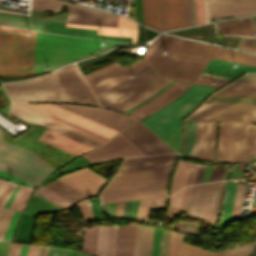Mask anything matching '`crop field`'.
<instances>
[{
	"label": "crop field",
	"instance_id": "24",
	"mask_svg": "<svg viewBox=\"0 0 256 256\" xmlns=\"http://www.w3.org/2000/svg\"><path fill=\"white\" fill-rule=\"evenodd\" d=\"M12 106L15 107V108H18V109H20V110H22V111H25V112H27V113H30V114H32V115H35V116H37V117H39V118H42V119H44V120H47V121L52 122V123H54V124H57V125H59V126H61V127H64V128L69 129V130H71V131H74V132H76V133H78V134H81V135H83V136H86V137H88V138H91V139H93V140H95V141H98V142H100V143H103V142H105V141L108 140V139H106V138H104V137H101V136L96 135V134H94V133H92V132H89V131H87V130H85V129H82V128H80V127H77V126H75V125H73V124H70V123H68V122H65V121H63V120H61V119H58V118H56V117H54V116H51V115H49V114H46V113H44V112H42V111H39V110H37V109H35V108H32V107H30V106H27V105H25V104H23V103H13Z\"/></svg>",
	"mask_w": 256,
	"mask_h": 256
},
{
	"label": "crop field",
	"instance_id": "65",
	"mask_svg": "<svg viewBox=\"0 0 256 256\" xmlns=\"http://www.w3.org/2000/svg\"><path fill=\"white\" fill-rule=\"evenodd\" d=\"M175 237H176V234L170 232L168 256H173V253H174V245H175Z\"/></svg>",
	"mask_w": 256,
	"mask_h": 256
},
{
	"label": "crop field",
	"instance_id": "58",
	"mask_svg": "<svg viewBox=\"0 0 256 256\" xmlns=\"http://www.w3.org/2000/svg\"><path fill=\"white\" fill-rule=\"evenodd\" d=\"M224 168L225 167L214 166L209 182L221 180Z\"/></svg>",
	"mask_w": 256,
	"mask_h": 256
},
{
	"label": "crop field",
	"instance_id": "11",
	"mask_svg": "<svg viewBox=\"0 0 256 256\" xmlns=\"http://www.w3.org/2000/svg\"><path fill=\"white\" fill-rule=\"evenodd\" d=\"M187 119L256 122V105L203 104Z\"/></svg>",
	"mask_w": 256,
	"mask_h": 256
},
{
	"label": "crop field",
	"instance_id": "62",
	"mask_svg": "<svg viewBox=\"0 0 256 256\" xmlns=\"http://www.w3.org/2000/svg\"><path fill=\"white\" fill-rule=\"evenodd\" d=\"M224 126H225V122H220V128H219V142H218L219 153H218V159H217V161H219V162H220V158H221V150H222Z\"/></svg>",
	"mask_w": 256,
	"mask_h": 256
},
{
	"label": "crop field",
	"instance_id": "47",
	"mask_svg": "<svg viewBox=\"0 0 256 256\" xmlns=\"http://www.w3.org/2000/svg\"><path fill=\"white\" fill-rule=\"evenodd\" d=\"M14 187L15 184L0 181V206L4 207Z\"/></svg>",
	"mask_w": 256,
	"mask_h": 256
},
{
	"label": "crop field",
	"instance_id": "14",
	"mask_svg": "<svg viewBox=\"0 0 256 256\" xmlns=\"http://www.w3.org/2000/svg\"><path fill=\"white\" fill-rule=\"evenodd\" d=\"M146 155L121 133L84 156L93 164L131 156Z\"/></svg>",
	"mask_w": 256,
	"mask_h": 256
},
{
	"label": "crop field",
	"instance_id": "20",
	"mask_svg": "<svg viewBox=\"0 0 256 256\" xmlns=\"http://www.w3.org/2000/svg\"><path fill=\"white\" fill-rule=\"evenodd\" d=\"M58 180L81 192L87 197L97 195L107 181L87 168L66 175Z\"/></svg>",
	"mask_w": 256,
	"mask_h": 256
},
{
	"label": "crop field",
	"instance_id": "26",
	"mask_svg": "<svg viewBox=\"0 0 256 256\" xmlns=\"http://www.w3.org/2000/svg\"><path fill=\"white\" fill-rule=\"evenodd\" d=\"M40 140L54 147L67 151L71 154H74L76 156H79L92 149L88 146H85L81 143H78L74 140H71L67 137H64L60 134H57L49 130L45 131V133L41 136Z\"/></svg>",
	"mask_w": 256,
	"mask_h": 256
},
{
	"label": "crop field",
	"instance_id": "59",
	"mask_svg": "<svg viewBox=\"0 0 256 256\" xmlns=\"http://www.w3.org/2000/svg\"><path fill=\"white\" fill-rule=\"evenodd\" d=\"M227 87H256V80H238Z\"/></svg>",
	"mask_w": 256,
	"mask_h": 256
},
{
	"label": "crop field",
	"instance_id": "60",
	"mask_svg": "<svg viewBox=\"0 0 256 256\" xmlns=\"http://www.w3.org/2000/svg\"><path fill=\"white\" fill-rule=\"evenodd\" d=\"M114 233H115V227H110L106 256H112L113 254Z\"/></svg>",
	"mask_w": 256,
	"mask_h": 256
},
{
	"label": "crop field",
	"instance_id": "16",
	"mask_svg": "<svg viewBox=\"0 0 256 256\" xmlns=\"http://www.w3.org/2000/svg\"><path fill=\"white\" fill-rule=\"evenodd\" d=\"M239 2V4H237ZM208 22L256 13V0H206Z\"/></svg>",
	"mask_w": 256,
	"mask_h": 256
},
{
	"label": "crop field",
	"instance_id": "64",
	"mask_svg": "<svg viewBox=\"0 0 256 256\" xmlns=\"http://www.w3.org/2000/svg\"><path fill=\"white\" fill-rule=\"evenodd\" d=\"M197 164L192 163L191 164V168H190V172H189V176H188V180H187V184H193L194 182V178H195V174H196V170H197Z\"/></svg>",
	"mask_w": 256,
	"mask_h": 256
},
{
	"label": "crop field",
	"instance_id": "31",
	"mask_svg": "<svg viewBox=\"0 0 256 256\" xmlns=\"http://www.w3.org/2000/svg\"><path fill=\"white\" fill-rule=\"evenodd\" d=\"M181 87H183V85L175 82L169 88H167L165 91H163L160 95H158L156 98L152 99L151 101L147 102L146 104H144L141 107L137 108L136 110L132 111L128 115L135 117V118L141 116L142 114L146 113L147 111H149V110L153 109L154 107L158 106L159 104L163 103L170 96H172L176 91H178Z\"/></svg>",
	"mask_w": 256,
	"mask_h": 256
},
{
	"label": "crop field",
	"instance_id": "35",
	"mask_svg": "<svg viewBox=\"0 0 256 256\" xmlns=\"http://www.w3.org/2000/svg\"><path fill=\"white\" fill-rule=\"evenodd\" d=\"M44 23L45 22L42 21L0 15V25L22 27L42 31ZM35 25H37V27H34Z\"/></svg>",
	"mask_w": 256,
	"mask_h": 256
},
{
	"label": "crop field",
	"instance_id": "7",
	"mask_svg": "<svg viewBox=\"0 0 256 256\" xmlns=\"http://www.w3.org/2000/svg\"><path fill=\"white\" fill-rule=\"evenodd\" d=\"M166 78L160 76L149 64L140 70L132 78L126 80L120 85L114 87L108 92L97 97L100 105L112 109L119 110L134 100L140 98L146 93L150 92L160 83H162ZM132 91L133 93L127 97L121 99L118 102H113L112 100L121 96L122 94Z\"/></svg>",
	"mask_w": 256,
	"mask_h": 256
},
{
	"label": "crop field",
	"instance_id": "36",
	"mask_svg": "<svg viewBox=\"0 0 256 256\" xmlns=\"http://www.w3.org/2000/svg\"><path fill=\"white\" fill-rule=\"evenodd\" d=\"M205 103L256 104V96L213 95Z\"/></svg>",
	"mask_w": 256,
	"mask_h": 256
},
{
	"label": "crop field",
	"instance_id": "30",
	"mask_svg": "<svg viewBox=\"0 0 256 256\" xmlns=\"http://www.w3.org/2000/svg\"><path fill=\"white\" fill-rule=\"evenodd\" d=\"M166 188L101 196V203L165 196Z\"/></svg>",
	"mask_w": 256,
	"mask_h": 256
},
{
	"label": "crop field",
	"instance_id": "25",
	"mask_svg": "<svg viewBox=\"0 0 256 256\" xmlns=\"http://www.w3.org/2000/svg\"><path fill=\"white\" fill-rule=\"evenodd\" d=\"M10 113H12V114H14L16 116H19V117H21V118H23L25 120H28V121H30V122H32L34 124L43 126V127L48 128L50 130H53V131H55L57 133H60V134H62L64 136H67V137H69L71 139H74V140H76L78 142H81V143H83L85 145H88V146H90L92 148H94V147H96V146H98L100 144V143L95 142V141H93L91 139H88L86 137L78 135V134H76L74 132H71V131L66 130L64 128H61L59 126H56V125H54L52 123H49V122L44 121L42 119H39V118H37L35 116H32V115L27 114L25 112H22V111H20L18 109H15L13 107L11 108Z\"/></svg>",
	"mask_w": 256,
	"mask_h": 256
},
{
	"label": "crop field",
	"instance_id": "46",
	"mask_svg": "<svg viewBox=\"0 0 256 256\" xmlns=\"http://www.w3.org/2000/svg\"><path fill=\"white\" fill-rule=\"evenodd\" d=\"M21 214L22 213L16 212V211L13 212L11 220L9 222V225L7 227V230L5 232V235L2 241H7V242L13 241L14 234H15L19 219L21 217Z\"/></svg>",
	"mask_w": 256,
	"mask_h": 256
},
{
	"label": "crop field",
	"instance_id": "63",
	"mask_svg": "<svg viewBox=\"0 0 256 256\" xmlns=\"http://www.w3.org/2000/svg\"><path fill=\"white\" fill-rule=\"evenodd\" d=\"M118 27H124V28H132V29H136V23L123 18L121 16H119V22H118Z\"/></svg>",
	"mask_w": 256,
	"mask_h": 256
},
{
	"label": "crop field",
	"instance_id": "17",
	"mask_svg": "<svg viewBox=\"0 0 256 256\" xmlns=\"http://www.w3.org/2000/svg\"><path fill=\"white\" fill-rule=\"evenodd\" d=\"M256 155V125L236 123L232 162H250Z\"/></svg>",
	"mask_w": 256,
	"mask_h": 256
},
{
	"label": "crop field",
	"instance_id": "3",
	"mask_svg": "<svg viewBox=\"0 0 256 256\" xmlns=\"http://www.w3.org/2000/svg\"><path fill=\"white\" fill-rule=\"evenodd\" d=\"M175 153L126 159L101 195L166 187Z\"/></svg>",
	"mask_w": 256,
	"mask_h": 256
},
{
	"label": "crop field",
	"instance_id": "39",
	"mask_svg": "<svg viewBox=\"0 0 256 256\" xmlns=\"http://www.w3.org/2000/svg\"><path fill=\"white\" fill-rule=\"evenodd\" d=\"M46 186L73 203L84 198V196H82L81 194L74 191L73 189H71L70 187L66 186L65 184H63L62 182H60L58 180H56Z\"/></svg>",
	"mask_w": 256,
	"mask_h": 256
},
{
	"label": "crop field",
	"instance_id": "49",
	"mask_svg": "<svg viewBox=\"0 0 256 256\" xmlns=\"http://www.w3.org/2000/svg\"><path fill=\"white\" fill-rule=\"evenodd\" d=\"M120 66L117 62L104 67L96 72H93L87 76H85L86 81L89 83L93 82L94 80L98 79L99 77L105 75L106 73L110 72L111 70L115 69L116 67Z\"/></svg>",
	"mask_w": 256,
	"mask_h": 256
},
{
	"label": "crop field",
	"instance_id": "69",
	"mask_svg": "<svg viewBox=\"0 0 256 256\" xmlns=\"http://www.w3.org/2000/svg\"><path fill=\"white\" fill-rule=\"evenodd\" d=\"M22 245L12 244L8 256H19Z\"/></svg>",
	"mask_w": 256,
	"mask_h": 256
},
{
	"label": "crop field",
	"instance_id": "23",
	"mask_svg": "<svg viewBox=\"0 0 256 256\" xmlns=\"http://www.w3.org/2000/svg\"><path fill=\"white\" fill-rule=\"evenodd\" d=\"M183 236L184 235L177 234L174 256H245L255 244L251 243L236 249L209 253L197 247L182 243L181 240Z\"/></svg>",
	"mask_w": 256,
	"mask_h": 256
},
{
	"label": "crop field",
	"instance_id": "54",
	"mask_svg": "<svg viewBox=\"0 0 256 256\" xmlns=\"http://www.w3.org/2000/svg\"><path fill=\"white\" fill-rule=\"evenodd\" d=\"M238 48L253 51L256 53V38L242 39Z\"/></svg>",
	"mask_w": 256,
	"mask_h": 256
},
{
	"label": "crop field",
	"instance_id": "5",
	"mask_svg": "<svg viewBox=\"0 0 256 256\" xmlns=\"http://www.w3.org/2000/svg\"><path fill=\"white\" fill-rule=\"evenodd\" d=\"M214 89L215 87L193 83L169 105L141 121L163 140L181 130L182 119Z\"/></svg>",
	"mask_w": 256,
	"mask_h": 256
},
{
	"label": "crop field",
	"instance_id": "15",
	"mask_svg": "<svg viewBox=\"0 0 256 256\" xmlns=\"http://www.w3.org/2000/svg\"><path fill=\"white\" fill-rule=\"evenodd\" d=\"M55 105L65 108L69 111H72L76 114L84 116L93 121H96L107 127L115 129L119 132L123 131L128 126L137 122V120L129 116H126L124 114H121L112 110L99 109V108H93V107H87V106H81V105H65V104H55Z\"/></svg>",
	"mask_w": 256,
	"mask_h": 256
},
{
	"label": "crop field",
	"instance_id": "61",
	"mask_svg": "<svg viewBox=\"0 0 256 256\" xmlns=\"http://www.w3.org/2000/svg\"><path fill=\"white\" fill-rule=\"evenodd\" d=\"M184 10H185L186 26L192 25L190 0H184Z\"/></svg>",
	"mask_w": 256,
	"mask_h": 256
},
{
	"label": "crop field",
	"instance_id": "34",
	"mask_svg": "<svg viewBox=\"0 0 256 256\" xmlns=\"http://www.w3.org/2000/svg\"><path fill=\"white\" fill-rule=\"evenodd\" d=\"M236 186L237 184H232V183H227L226 185L219 225L228 223L230 220Z\"/></svg>",
	"mask_w": 256,
	"mask_h": 256
},
{
	"label": "crop field",
	"instance_id": "37",
	"mask_svg": "<svg viewBox=\"0 0 256 256\" xmlns=\"http://www.w3.org/2000/svg\"><path fill=\"white\" fill-rule=\"evenodd\" d=\"M196 121H186L182 154L192 156L194 153Z\"/></svg>",
	"mask_w": 256,
	"mask_h": 256
},
{
	"label": "crop field",
	"instance_id": "70",
	"mask_svg": "<svg viewBox=\"0 0 256 256\" xmlns=\"http://www.w3.org/2000/svg\"><path fill=\"white\" fill-rule=\"evenodd\" d=\"M67 250H57L53 248H49V252L47 256H65Z\"/></svg>",
	"mask_w": 256,
	"mask_h": 256
},
{
	"label": "crop field",
	"instance_id": "41",
	"mask_svg": "<svg viewBox=\"0 0 256 256\" xmlns=\"http://www.w3.org/2000/svg\"><path fill=\"white\" fill-rule=\"evenodd\" d=\"M31 191H32L31 188H25V187L20 186L18 192L16 193L13 201L11 202V204L9 206V209L22 211L27 200H28V197H29Z\"/></svg>",
	"mask_w": 256,
	"mask_h": 256
},
{
	"label": "crop field",
	"instance_id": "40",
	"mask_svg": "<svg viewBox=\"0 0 256 256\" xmlns=\"http://www.w3.org/2000/svg\"><path fill=\"white\" fill-rule=\"evenodd\" d=\"M190 164L191 163L181 162V160L178 161L172 183L171 194L186 184Z\"/></svg>",
	"mask_w": 256,
	"mask_h": 256
},
{
	"label": "crop field",
	"instance_id": "56",
	"mask_svg": "<svg viewBox=\"0 0 256 256\" xmlns=\"http://www.w3.org/2000/svg\"><path fill=\"white\" fill-rule=\"evenodd\" d=\"M170 80L164 81L162 84H160L158 87H156L154 90H152L150 93L146 94L145 96L141 97L140 99L136 100L135 102L129 104L128 106L124 107L120 111L124 112L128 110L129 108L133 107L134 105L138 104L139 102L143 101L144 99L148 98L149 96L153 95L155 92H157L159 89H161L164 85H166Z\"/></svg>",
	"mask_w": 256,
	"mask_h": 256
},
{
	"label": "crop field",
	"instance_id": "66",
	"mask_svg": "<svg viewBox=\"0 0 256 256\" xmlns=\"http://www.w3.org/2000/svg\"><path fill=\"white\" fill-rule=\"evenodd\" d=\"M0 177L6 178V179H10V180H14L15 182L21 183V184H23V185H25V186H33L32 184H29V183H27V182H25V181H22V180H20V179H17V178H15V177H13V176H10V175H8V174H5V173H3V172H1V171H0Z\"/></svg>",
	"mask_w": 256,
	"mask_h": 256
},
{
	"label": "crop field",
	"instance_id": "45",
	"mask_svg": "<svg viewBox=\"0 0 256 256\" xmlns=\"http://www.w3.org/2000/svg\"><path fill=\"white\" fill-rule=\"evenodd\" d=\"M245 188H246V186H244V185L238 184V186H237V191H236V196H235V201H234V205H233V210H232V215H231L230 222L239 218Z\"/></svg>",
	"mask_w": 256,
	"mask_h": 256
},
{
	"label": "crop field",
	"instance_id": "57",
	"mask_svg": "<svg viewBox=\"0 0 256 256\" xmlns=\"http://www.w3.org/2000/svg\"><path fill=\"white\" fill-rule=\"evenodd\" d=\"M167 37V35L165 34H161L160 36H158L155 40L152 41V43L150 44V46L147 48V50L145 51L144 55L147 58L150 56V54L153 52V50L156 48V46L165 38Z\"/></svg>",
	"mask_w": 256,
	"mask_h": 256
},
{
	"label": "crop field",
	"instance_id": "76",
	"mask_svg": "<svg viewBox=\"0 0 256 256\" xmlns=\"http://www.w3.org/2000/svg\"><path fill=\"white\" fill-rule=\"evenodd\" d=\"M252 22H253L254 34H255V37H256V17L252 18Z\"/></svg>",
	"mask_w": 256,
	"mask_h": 256
},
{
	"label": "crop field",
	"instance_id": "12",
	"mask_svg": "<svg viewBox=\"0 0 256 256\" xmlns=\"http://www.w3.org/2000/svg\"><path fill=\"white\" fill-rule=\"evenodd\" d=\"M64 25L65 24L46 22L43 31L79 35V36H86V37H93V38H101V39H108V40H114V41H125V42H131V38H126V37H132V42H135L136 30H132V29L76 25V24L65 25L70 27L98 29V32H97V30L70 28V27H64ZM96 32L97 34H102V35H114V36H126V37L102 36V35H96Z\"/></svg>",
	"mask_w": 256,
	"mask_h": 256
},
{
	"label": "crop field",
	"instance_id": "73",
	"mask_svg": "<svg viewBox=\"0 0 256 256\" xmlns=\"http://www.w3.org/2000/svg\"><path fill=\"white\" fill-rule=\"evenodd\" d=\"M191 9H192V20H193V25H195V24H196V19H195L194 0H191Z\"/></svg>",
	"mask_w": 256,
	"mask_h": 256
},
{
	"label": "crop field",
	"instance_id": "67",
	"mask_svg": "<svg viewBox=\"0 0 256 256\" xmlns=\"http://www.w3.org/2000/svg\"><path fill=\"white\" fill-rule=\"evenodd\" d=\"M204 168H205L204 165L199 164L194 184L201 183L202 177H203Z\"/></svg>",
	"mask_w": 256,
	"mask_h": 256
},
{
	"label": "crop field",
	"instance_id": "2",
	"mask_svg": "<svg viewBox=\"0 0 256 256\" xmlns=\"http://www.w3.org/2000/svg\"><path fill=\"white\" fill-rule=\"evenodd\" d=\"M117 45L128 44L37 32L34 73L101 53Z\"/></svg>",
	"mask_w": 256,
	"mask_h": 256
},
{
	"label": "crop field",
	"instance_id": "71",
	"mask_svg": "<svg viewBox=\"0 0 256 256\" xmlns=\"http://www.w3.org/2000/svg\"><path fill=\"white\" fill-rule=\"evenodd\" d=\"M124 202L118 203L115 218H122Z\"/></svg>",
	"mask_w": 256,
	"mask_h": 256
},
{
	"label": "crop field",
	"instance_id": "10",
	"mask_svg": "<svg viewBox=\"0 0 256 256\" xmlns=\"http://www.w3.org/2000/svg\"><path fill=\"white\" fill-rule=\"evenodd\" d=\"M222 184L215 182L193 186L186 218L206 220V225L211 218L210 226H213Z\"/></svg>",
	"mask_w": 256,
	"mask_h": 256
},
{
	"label": "crop field",
	"instance_id": "72",
	"mask_svg": "<svg viewBox=\"0 0 256 256\" xmlns=\"http://www.w3.org/2000/svg\"><path fill=\"white\" fill-rule=\"evenodd\" d=\"M18 188H19V186L16 185L14 191L12 192V194H11L9 200L7 201V203H6V205H5L6 208H8V206H9L10 202L12 201V199H13L15 193L17 192Z\"/></svg>",
	"mask_w": 256,
	"mask_h": 256
},
{
	"label": "crop field",
	"instance_id": "33",
	"mask_svg": "<svg viewBox=\"0 0 256 256\" xmlns=\"http://www.w3.org/2000/svg\"><path fill=\"white\" fill-rule=\"evenodd\" d=\"M167 198L139 201L137 221L148 222L149 210L164 209Z\"/></svg>",
	"mask_w": 256,
	"mask_h": 256
},
{
	"label": "crop field",
	"instance_id": "75",
	"mask_svg": "<svg viewBox=\"0 0 256 256\" xmlns=\"http://www.w3.org/2000/svg\"><path fill=\"white\" fill-rule=\"evenodd\" d=\"M27 247L28 246H25V245L22 246V250H21L20 256H25L26 251H27Z\"/></svg>",
	"mask_w": 256,
	"mask_h": 256
},
{
	"label": "crop field",
	"instance_id": "13",
	"mask_svg": "<svg viewBox=\"0 0 256 256\" xmlns=\"http://www.w3.org/2000/svg\"><path fill=\"white\" fill-rule=\"evenodd\" d=\"M72 103L99 106L76 66L71 64L55 71Z\"/></svg>",
	"mask_w": 256,
	"mask_h": 256
},
{
	"label": "crop field",
	"instance_id": "29",
	"mask_svg": "<svg viewBox=\"0 0 256 256\" xmlns=\"http://www.w3.org/2000/svg\"><path fill=\"white\" fill-rule=\"evenodd\" d=\"M154 228L137 225L134 256H150Z\"/></svg>",
	"mask_w": 256,
	"mask_h": 256
},
{
	"label": "crop field",
	"instance_id": "42",
	"mask_svg": "<svg viewBox=\"0 0 256 256\" xmlns=\"http://www.w3.org/2000/svg\"><path fill=\"white\" fill-rule=\"evenodd\" d=\"M35 192H37L38 194L42 195L46 199L50 200L51 202H53L54 204H56L62 208L67 207L70 204H72L71 202H69L68 200L61 197L60 195H58L57 193L53 192L52 190H50L49 188H47L45 186L39 188Z\"/></svg>",
	"mask_w": 256,
	"mask_h": 256
},
{
	"label": "crop field",
	"instance_id": "50",
	"mask_svg": "<svg viewBox=\"0 0 256 256\" xmlns=\"http://www.w3.org/2000/svg\"><path fill=\"white\" fill-rule=\"evenodd\" d=\"M161 234H162V230L155 228L151 256H159Z\"/></svg>",
	"mask_w": 256,
	"mask_h": 256
},
{
	"label": "crop field",
	"instance_id": "28",
	"mask_svg": "<svg viewBox=\"0 0 256 256\" xmlns=\"http://www.w3.org/2000/svg\"><path fill=\"white\" fill-rule=\"evenodd\" d=\"M136 225L117 227L114 256H133Z\"/></svg>",
	"mask_w": 256,
	"mask_h": 256
},
{
	"label": "crop field",
	"instance_id": "43",
	"mask_svg": "<svg viewBox=\"0 0 256 256\" xmlns=\"http://www.w3.org/2000/svg\"><path fill=\"white\" fill-rule=\"evenodd\" d=\"M98 226L86 229L82 251L94 255Z\"/></svg>",
	"mask_w": 256,
	"mask_h": 256
},
{
	"label": "crop field",
	"instance_id": "4",
	"mask_svg": "<svg viewBox=\"0 0 256 256\" xmlns=\"http://www.w3.org/2000/svg\"><path fill=\"white\" fill-rule=\"evenodd\" d=\"M35 38L36 32L0 26V75L33 73Z\"/></svg>",
	"mask_w": 256,
	"mask_h": 256
},
{
	"label": "crop field",
	"instance_id": "1",
	"mask_svg": "<svg viewBox=\"0 0 256 256\" xmlns=\"http://www.w3.org/2000/svg\"><path fill=\"white\" fill-rule=\"evenodd\" d=\"M211 58L256 66V57L250 54L171 36L157 46L147 61L160 75L188 87L192 82L218 87L227 80L199 75Z\"/></svg>",
	"mask_w": 256,
	"mask_h": 256
},
{
	"label": "crop field",
	"instance_id": "38",
	"mask_svg": "<svg viewBox=\"0 0 256 256\" xmlns=\"http://www.w3.org/2000/svg\"><path fill=\"white\" fill-rule=\"evenodd\" d=\"M235 123L226 122L221 162H231Z\"/></svg>",
	"mask_w": 256,
	"mask_h": 256
},
{
	"label": "crop field",
	"instance_id": "8",
	"mask_svg": "<svg viewBox=\"0 0 256 256\" xmlns=\"http://www.w3.org/2000/svg\"><path fill=\"white\" fill-rule=\"evenodd\" d=\"M142 8L144 24L154 29L185 26L183 0H142Z\"/></svg>",
	"mask_w": 256,
	"mask_h": 256
},
{
	"label": "crop field",
	"instance_id": "55",
	"mask_svg": "<svg viewBox=\"0 0 256 256\" xmlns=\"http://www.w3.org/2000/svg\"><path fill=\"white\" fill-rule=\"evenodd\" d=\"M197 24L205 23L203 0H195Z\"/></svg>",
	"mask_w": 256,
	"mask_h": 256
},
{
	"label": "crop field",
	"instance_id": "52",
	"mask_svg": "<svg viewBox=\"0 0 256 256\" xmlns=\"http://www.w3.org/2000/svg\"><path fill=\"white\" fill-rule=\"evenodd\" d=\"M89 202V199H85L77 204L82 212L84 219L93 217Z\"/></svg>",
	"mask_w": 256,
	"mask_h": 256
},
{
	"label": "crop field",
	"instance_id": "22",
	"mask_svg": "<svg viewBox=\"0 0 256 256\" xmlns=\"http://www.w3.org/2000/svg\"><path fill=\"white\" fill-rule=\"evenodd\" d=\"M169 33L178 34L234 48L237 47L238 42L240 40V37H217L214 33V24L178 31H171Z\"/></svg>",
	"mask_w": 256,
	"mask_h": 256
},
{
	"label": "crop field",
	"instance_id": "68",
	"mask_svg": "<svg viewBox=\"0 0 256 256\" xmlns=\"http://www.w3.org/2000/svg\"><path fill=\"white\" fill-rule=\"evenodd\" d=\"M191 188H192V186H189L186 189V193H185V197H184V201H183V205H182L181 210L187 211L189 197H190V193H191Z\"/></svg>",
	"mask_w": 256,
	"mask_h": 256
},
{
	"label": "crop field",
	"instance_id": "21",
	"mask_svg": "<svg viewBox=\"0 0 256 256\" xmlns=\"http://www.w3.org/2000/svg\"><path fill=\"white\" fill-rule=\"evenodd\" d=\"M216 122L198 121L194 157L212 161Z\"/></svg>",
	"mask_w": 256,
	"mask_h": 256
},
{
	"label": "crop field",
	"instance_id": "53",
	"mask_svg": "<svg viewBox=\"0 0 256 256\" xmlns=\"http://www.w3.org/2000/svg\"><path fill=\"white\" fill-rule=\"evenodd\" d=\"M186 90H187V87L184 86L177 93H175L172 97H170L167 101H165L163 104L159 105L158 107L154 108L153 110L147 112L146 114L142 115L141 117H139L137 119L141 120V119L145 118L146 116L152 114L153 112L157 111L158 109L166 106L168 103H170L172 100H174L176 97H178L180 94H182Z\"/></svg>",
	"mask_w": 256,
	"mask_h": 256
},
{
	"label": "crop field",
	"instance_id": "74",
	"mask_svg": "<svg viewBox=\"0 0 256 256\" xmlns=\"http://www.w3.org/2000/svg\"><path fill=\"white\" fill-rule=\"evenodd\" d=\"M240 79H256V74H246Z\"/></svg>",
	"mask_w": 256,
	"mask_h": 256
},
{
	"label": "crop field",
	"instance_id": "51",
	"mask_svg": "<svg viewBox=\"0 0 256 256\" xmlns=\"http://www.w3.org/2000/svg\"><path fill=\"white\" fill-rule=\"evenodd\" d=\"M185 188L186 187L182 188L181 190L170 196L169 206L181 207Z\"/></svg>",
	"mask_w": 256,
	"mask_h": 256
},
{
	"label": "crop field",
	"instance_id": "27",
	"mask_svg": "<svg viewBox=\"0 0 256 256\" xmlns=\"http://www.w3.org/2000/svg\"><path fill=\"white\" fill-rule=\"evenodd\" d=\"M203 72L234 78L243 72H256V67L211 59Z\"/></svg>",
	"mask_w": 256,
	"mask_h": 256
},
{
	"label": "crop field",
	"instance_id": "44",
	"mask_svg": "<svg viewBox=\"0 0 256 256\" xmlns=\"http://www.w3.org/2000/svg\"><path fill=\"white\" fill-rule=\"evenodd\" d=\"M108 230L109 227L107 226H99L95 252L96 256H105L106 254Z\"/></svg>",
	"mask_w": 256,
	"mask_h": 256
},
{
	"label": "crop field",
	"instance_id": "19",
	"mask_svg": "<svg viewBox=\"0 0 256 256\" xmlns=\"http://www.w3.org/2000/svg\"><path fill=\"white\" fill-rule=\"evenodd\" d=\"M27 105H30L32 107H35L39 110H42L46 113H49L51 115H54L58 118H61L63 120H66L70 123H73L77 126H80L82 128H85L89 131H92L96 134H99L101 136H104L108 139L112 138L114 135L118 134L119 132L117 131H114L110 128H107L105 126H102L98 123H95L93 121H90L86 118H83L81 116H78L76 114H73L69 111H66L64 109H61L57 106H54L52 104H28V103H25ZM63 111V112H62Z\"/></svg>",
	"mask_w": 256,
	"mask_h": 256
},
{
	"label": "crop field",
	"instance_id": "6",
	"mask_svg": "<svg viewBox=\"0 0 256 256\" xmlns=\"http://www.w3.org/2000/svg\"><path fill=\"white\" fill-rule=\"evenodd\" d=\"M59 166L3 140L0 133V170L37 185Z\"/></svg>",
	"mask_w": 256,
	"mask_h": 256
},
{
	"label": "crop field",
	"instance_id": "9",
	"mask_svg": "<svg viewBox=\"0 0 256 256\" xmlns=\"http://www.w3.org/2000/svg\"><path fill=\"white\" fill-rule=\"evenodd\" d=\"M64 5L69 11L67 23L117 27L118 16L116 15L59 0H32L31 10L57 11L63 9Z\"/></svg>",
	"mask_w": 256,
	"mask_h": 256
},
{
	"label": "crop field",
	"instance_id": "48",
	"mask_svg": "<svg viewBox=\"0 0 256 256\" xmlns=\"http://www.w3.org/2000/svg\"><path fill=\"white\" fill-rule=\"evenodd\" d=\"M216 94L256 95V88H224Z\"/></svg>",
	"mask_w": 256,
	"mask_h": 256
},
{
	"label": "crop field",
	"instance_id": "18",
	"mask_svg": "<svg viewBox=\"0 0 256 256\" xmlns=\"http://www.w3.org/2000/svg\"><path fill=\"white\" fill-rule=\"evenodd\" d=\"M121 133L147 155L173 152L139 122Z\"/></svg>",
	"mask_w": 256,
	"mask_h": 256
},
{
	"label": "crop field",
	"instance_id": "32",
	"mask_svg": "<svg viewBox=\"0 0 256 256\" xmlns=\"http://www.w3.org/2000/svg\"><path fill=\"white\" fill-rule=\"evenodd\" d=\"M246 19H249V18H243V19H237V20H246ZM237 20H228V21H222V22L237 21ZM222 22H220L221 34L253 36L250 20L229 22V23H222Z\"/></svg>",
	"mask_w": 256,
	"mask_h": 256
}]
</instances>
